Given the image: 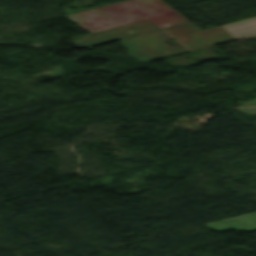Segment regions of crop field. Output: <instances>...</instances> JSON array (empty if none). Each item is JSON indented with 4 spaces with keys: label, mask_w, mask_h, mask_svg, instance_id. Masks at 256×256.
<instances>
[{
    "label": "crop field",
    "mask_w": 256,
    "mask_h": 256,
    "mask_svg": "<svg viewBox=\"0 0 256 256\" xmlns=\"http://www.w3.org/2000/svg\"><path fill=\"white\" fill-rule=\"evenodd\" d=\"M161 30L120 39L127 54L140 63L188 51L185 48H171L164 43L168 39Z\"/></svg>",
    "instance_id": "2"
},
{
    "label": "crop field",
    "mask_w": 256,
    "mask_h": 256,
    "mask_svg": "<svg viewBox=\"0 0 256 256\" xmlns=\"http://www.w3.org/2000/svg\"><path fill=\"white\" fill-rule=\"evenodd\" d=\"M256 213L227 220V222L232 225L236 231H242L244 230L245 232L256 230ZM211 231H216V232H222L226 230H231L233 229L230 227L228 224H226L224 221L214 223V224H209L206 225Z\"/></svg>",
    "instance_id": "5"
},
{
    "label": "crop field",
    "mask_w": 256,
    "mask_h": 256,
    "mask_svg": "<svg viewBox=\"0 0 256 256\" xmlns=\"http://www.w3.org/2000/svg\"><path fill=\"white\" fill-rule=\"evenodd\" d=\"M163 30L190 50L235 39L220 26L201 31L190 22Z\"/></svg>",
    "instance_id": "3"
},
{
    "label": "crop field",
    "mask_w": 256,
    "mask_h": 256,
    "mask_svg": "<svg viewBox=\"0 0 256 256\" xmlns=\"http://www.w3.org/2000/svg\"><path fill=\"white\" fill-rule=\"evenodd\" d=\"M235 38L256 33V17L221 26Z\"/></svg>",
    "instance_id": "6"
},
{
    "label": "crop field",
    "mask_w": 256,
    "mask_h": 256,
    "mask_svg": "<svg viewBox=\"0 0 256 256\" xmlns=\"http://www.w3.org/2000/svg\"><path fill=\"white\" fill-rule=\"evenodd\" d=\"M249 38H254V39H256V36H253V37H249Z\"/></svg>",
    "instance_id": "7"
},
{
    "label": "crop field",
    "mask_w": 256,
    "mask_h": 256,
    "mask_svg": "<svg viewBox=\"0 0 256 256\" xmlns=\"http://www.w3.org/2000/svg\"><path fill=\"white\" fill-rule=\"evenodd\" d=\"M67 16L91 33L145 19L158 28L187 22L160 0H127Z\"/></svg>",
    "instance_id": "1"
},
{
    "label": "crop field",
    "mask_w": 256,
    "mask_h": 256,
    "mask_svg": "<svg viewBox=\"0 0 256 256\" xmlns=\"http://www.w3.org/2000/svg\"><path fill=\"white\" fill-rule=\"evenodd\" d=\"M133 26L129 30H122L126 27ZM158 28L155 27L151 22L148 20L136 22L134 24L94 33V34H88L86 36H83L77 40L71 41L73 42L77 47L80 48H88L93 45L113 41L116 39L141 34L153 30H157ZM133 30L131 33H127L128 31Z\"/></svg>",
    "instance_id": "4"
}]
</instances>
